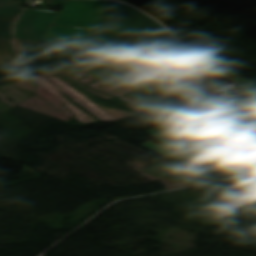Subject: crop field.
Returning <instances> with one entry per match:
<instances>
[{
	"instance_id": "obj_9",
	"label": "crop field",
	"mask_w": 256,
	"mask_h": 256,
	"mask_svg": "<svg viewBox=\"0 0 256 256\" xmlns=\"http://www.w3.org/2000/svg\"><path fill=\"white\" fill-rule=\"evenodd\" d=\"M11 41L0 37V68L22 66L14 54Z\"/></svg>"
},
{
	"instance_id": "obj_15",
	"label": "crop field",
	"mask_w": 256,
	"mask_h": 256,
	"mask_svg": "<svg viewBox=\"0 0 256 256\" xmlns=\"http://www.w3.org/2000/svg\"><path fill=\"white\" fill-rule=\"evenodd\" d=\"M231 79L256 96V82L247 81L239 76Z\"/></svg>"
},
{
	"instance_id": "obj_5",
	"label": "crop field",
	"mask_w": 256,
	"mask_h": 256,
	"mask_svg": "<svg viewBox=\"0 0 256 256\" xmlns=\"http://www.w3.org/2000/svg\"><path fill=\"white\" fill-rule=\"evenodd\" d=\"M195 112L243 135L256 129V100L248 94L219 100Z\"/></svg>"
},
{
	"instance_id": "obj_10",
	"label": "crop field",
	"mask_w": 256,
	"mask_h": 256,
	"mask_svg": "<svg viewBox=\"0 0 256 256\" xmlns=\"http://www.w3.org/2000/svg\"><path fill=\"white\" fill-rule=\"evenodd\" d=\"M239 140L253 146L244 156H242L236 163L243 166L251 161L256 162V131H253Z\"/></svg>"
},
{
	"instance_id": "obj_8",
	"label": "crop field",
	"mask_w": 256,
	"mask_h": 256,
	"mask_svg": "<svg viewBox=\"0 0 256 256\" xmlns=\"http://www.w3.org/2000/svg\"><path fill=\"white\" fill-rule=\"evenodd\" d=\"M22 8L0 5V36L12 38L13 24Z\"/></svg>"
},
{
	"instance_id": "obj_2",
	"label": "crop field",
	"mask_w": 256,
	"mask_h": 256,
	"mask_svg": "<svg viewBox=\"0 0 256 256\" xmlns=\"http://www.w3.org/2000/svg\"><path fill=\"white\" fill-rule=\"evenodd\" d=\"M108 1L67 0L43 41L81 50Z\"/></svg>"
},
{
	"instance_id": "obj_13",
	"label": "crop field",
	"mask_w": 256,
	"mask_h": 256,
	"mask_svg": "<svg viewBox=\"0 0 256 256\" xmlns=\"http://www.w3.org/2000/svg\"><path fill=\"white\" fill-rule=\"evenodd\" d=\"M184 52H187L185 49H181L178 51L171 52V54L176 57L182 64H184L186 67L198 62H201L197 57L190 56Z\"/></svg>"
},
{
	"instance_id": "obj_3",
	"label": "crop field",
	"mask_w": 256,
	"mask_h": 256,
	"mask_svg": "<svg viewBox=\"0 0 256 256\" xmlns=\"http://www.w3.org/2000/svg\"><path fill=\"white\" fill-rule=\"evenodd\" d=\"M109 56L111 62L127 64L138 81H153L164 73L185 67L163 51L153 30Z\"/></svg>"
},
{
	"instance_id": "obj_6",
	"label": "crop field",
	"mask_w": 256,
	"mask_h": 256,
	"mask_svg": "<svg viewBox=\"0 0 256 256\" xmlns=\"http://www.w3.org/2000/svg\"><path fill=\"white\" fill-rule=\"evenodd\" d=\"M187 115L193 118L188 121L185 120L186 122L183 123L177 124L170 122L157 128L145 131L146 133L152 135L153 137L157 138L163 143L156 145L150 141H147L140 145L164 157L173 152L174 150H176L177 148L187 146L189 144H192L203 139L202 137L194 134L193 132L205 129L216 124L194 112L189 113ZM220 127L232 133L235 132L223 126Z\"/></svg>"
},
{
	"instance_id": "obj_12",
	"label": "crop field",
	"mask_w": 256,
	"mask_h": 256,
	"mask_svg": "<svg viewBox=\"0 0 256 256\" xmlns=\"http://www.w3.org/2000/svg\"><path fill=\"white\" fill-rule=\"evenodd\" d=\"M15 45L17 52L40 55L38 51V42L18 40L15 41Z\"/></svg>"
},
{
	"instance_id": "obj_16",
	"label": "crop field",
	"mask_w": 256,
	"mask_h": 256,
	"mask_svg": "<svg viewBox=\"0 0 256 256\" xmlns=\"http://www.w3.org/2000/svg\"><path fill=\"white\" fill-rule=\"evenodd\" d=\"M23 2L12 1V0H0V4L21 7Z\"/></svg>"
},
{
	"instance_id": "obj_14",
	"label": "crop field",
	"mask_w": 256,
	"mask_h": 256,
	"mask_svg": "<svg viewBox=\"0 0 256 256\" xmlns=\"http://www.w3.org/2000/svg\"><path fill=\"white\" fill-rule=\"evenodd\" d=\"M207 103H209V102L206 100H202L201 98L194 100V101H187V100L183 99V100L179 101L178 106L190 111L192 109H195V108L202 106L204 104H207Z\"/></svg>"
},
{
	"instance_id": "obj_7",
	"label": "crop field",
	"mask_w": 256,
	"mask_h": 256,
	"mask_svg": "<svg viewBox=\"0 0 256 256\" xmlns=\"http://www.w3.org/2000/svg\"><path fill=\"white\" fill-rule=\"evenodd\" d=\"M57 15L56 12L26 9L17 23L16 39L42 41Z\"/></svg>"
},
{
	"instance_id": "obj_4",
	"label": "crop field",
	"mask_w": 256,
	"mask_h": 256,
	"mask_svg": "<svg viewBox=\"0 0 256 256\" xmlns=\"http://www.w3.org/2000/svg\"><path fill=\"white\" fill-rule=\"evenodd\" d=\"M227 147H229V145L223 142L214 140L208 142L204 140L199 143L188 146L182 150L199 159L206 161L203 164L209 167L217 165L218 167L214 169L221 171L223 169H226L225 166H227L228 164L223 163V157L216 154L215 152L225 149ZM182 160L183 158L176 155L175 153H172L169 156L160 160L159 162L155 163L151 167L144 170V172L157 175L163 178L170 176L188 183H191L195 180H198L202 177H205L209 174L216 172L202 165L193 167Z\"/></svg>"
},
{
	"instance_id": "obj_1",
	"label": "crop field",
	"mask_w": 256,
	"mask_h": 256,
	"mask_svg": "<svg viewBox=\"0 0 256 256\" xmlns=\"http://www.w3.org/2000/svg\"><path fill=\"white\" fill-rule=\"evenodd\" d=\"M158 26L134 8L109 1L82 50L96 61L130 43L117 40L123 30L148 32Z\"/></svg>"
},
{
	"instance_id": "obj_11",
	"label": "crop field",
	"mask_w": 256,
	"mask_h": 256,
	"mask_svg": "<svg viewBox=\"0 0 256 256\" xmlns=\"http://www.w3.org/2000/svg\"><path fill=\"white\" fill-rule=\"evenodd\" d=\"M163 49L166 52L174 51L177 49H181V47L172 49L170 50L168 47L178 45L179 43L163 28V27H158L154 29Z\"/></svg>"
}]
</instances>
